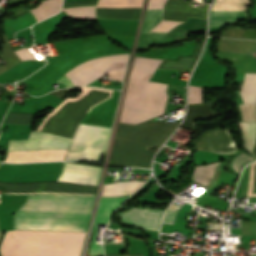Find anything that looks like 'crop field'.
<instances>
[{
	"label": "crop field",
	"mask_w": 256,
	"mask_h": 256,
	"mask_svg": "<svg viewBox=\"0 0 256 256\" xmlns=\"http://www.w3.org/2000/svg\"><path fill=\"white\" fill-rule=\"evenodd\" d=\"M94 197L29 195L14 216V229L86 231ZM86 232H7L1 256H79Z\"/></svg>",
	"instance_id": "obj_1"
},
{
	"label": "crop field",
	"mask_w": 256,
	"mask_h": 256,
	"mask_svg": "<svg viewBox=\"0 0 256 256\" xmlns=\"http://www.w3.org/2000/svg\"><path fill=\"white\" fill-rule=\"evenodd\" d=\"M161 61L136 57L119 122L137 124L163 114L168 85L148 81Z\"/></svg>",
	"instance_id": "obj_2"
},
{
	"label": "crop field",
	"mask_w": 256,
	"mask_h": 256,
	"mask_svg": "<svg viewBox=\"0 0 256 256\" xmlns=\"http://www.w3.org/2000/svg\"><path fill=\"white\" fill-rule=\"evenodd\" d=\"M128 54L110 55L78 65L66 76L74 85L84 86L93 79L109 74V78L122 81L127 66Z\"/></svg>",
	"instance_id": "obj_3"
},
{
	"label": "crop field",
	"mask_w": 256,
	"mask_h": 256,
	"mask_svg": "<svg viewBox=\"0 0 256 256\" xmlns=\"http://www.w3.org/2000/svg\"><path fill=\"white\" fill-rule=\"evenodd\" d=\"M109 129L80 125L67 159L96 160L102 151Z\"/></svg>",
	"instance_id": "obj_4"
},
{
	"label": "crop field",
	"mask_w": 256,
	"mask_h": 256,
	"mask_svg": "<svg viewBox=\"0 0 256 256\" xmlns=\"http://www.w3.org/2000/svg\"><path fill=\"white\" fill-rule=\"evenodd\" d=\"M163 9L147 10L137 50L154 44H163L186 38L187 30H171L168 33H148L162 20Z\"/></svg>",
	"instance_id": "obj_5"
},
{
	"label": "crop field",
	"mask_w": 256,
	"mask_h": 256,
	"mask_svg": "<svg viewBox=\"0 0 256 256\" xmlns=\"http://www.w3.org/2000/svg\"><path fill=\"white\" fill-rule=\"evenodd\" d=\"M72 140L44 132L32 131L28 140H10L9 150L32 151L68 148Z\"/></svg>",
	"instance_id": "obj_6"
},
{
	"label": "crop field",
	"mask_w": 256,
	"mask_h": 256,
	"mask_svg": "<svg viewBox=\"0 0 256 256\" xmlns=\"http://www.w3.org/2000/svg\"><path fill=\"white\" fill-rule=\"evenodd\" d=\"M126 198L122 197H100L95 219V234L92 242V256L103 255L102 245L96 244L97 224H107L112 212L121 207Z\"/></svg>",
	"instance_id": "obj_7"
},
{
	"label": "crop field",
	"mask_w": 256,
	"mask_h": 256,
	"mask_svg": "<svg viewBox=\"0 0 256 256\" xmlns=\"http://www.w3.org/2000/svg\"><path fill=\"white\" fill-rule=\"evenodd\" d=\"M164 211L161 210H153V209H145V208H133L132 210L126 213L139 214L145 216H152L161 218ZM126 213H119L118 215L123 220L124 224L132 225L144 229L150 230H159L161 219L145 217L139 215H132Z\"/></svg>",
	"instance_id": "obj_8"
},
{
	"label": "crop field",
	"mask_w": 256,
	"mask_h": 256,
	"mask_svg": "<svg viewBox=\"0 0 256 256\" xmlns=\"http://www.w3.org/2000/svg\"><path fill=\"white\" fill-rule=\"evenodd\" d=\"M101 168L66 163L59 181L97 185Z\"/></svg>",
	"instance_id": "obj_9"
},
{
	"label": "crop field",
	"mask_w": 256,
	"mask_h": 256,
	"mask_svg": "<svg viewBox=\"0 0 256 256\" xmlns=\"http://www.w3.org/2000/svg\"><path fill=\"white\" fill-rule=\"evenodd\" d=\"M245 12L211 11L210 27H221L225 24H235L237 20H246Z\"/></svg>",
	"instance_id": "obj_10"
},
{
	"label": "crop field",
	"mask_w": 256,
	"mask_h": 256,
	"mask_svg": "<svg viewBox=\"0 0 256 256\" xmlns=\"http://www.w3.org/2000/svg\"><path fill=\"white\" fill-rule=\"evenodd\" d=\"M142 183L141 181H132L104 185L101 196H118L132 193Z\"/></svg>",
	"instance_id": "obj_11"
},
{
	"label": "crop field",
	"mask_w": 256,
	"mask_h": 256,
	"mask_svg": "<svg viewBox=\"0 0 256 256\" xmlns=\"http://www.w3.org/2000/svg\"><path fill=\"white\" fill-rule=\"evenodd\" d=\"M239 92L245 103H256V74L245 73V79Z\"/></svg>",
	"instance_id": "obj_12"
},
{
	"label": "crop field",
	"mask_w": 256,
	"mask_h": 256,
	"mask_svg": "<svg viewBox=\"0 0 256 256\" xmlns=\"http://www.w3.org/2000/svg\"><path fill=\"white\" fill-rule=\"evenodd\" d=\"M218 164L219 162L209 165L195 166L192 180L208 187Z\"/></svg>",
	"instance_id": "obj_13"
},
{
	"label": "crop field",
	"mask_w": 256,
	"mask_h": 256,
	"mask_svg": "<svg viewBox=\"0 0 256 256\" xmlns=\"http://www.w3.org/2000/svg\"><path fill=\"white\" fill-rule=\"evenodd\" d=\"M62 0H48L41 6L31 10L38 21L50 17L59 12L61 9ZM36 19V20H37Z\"/></svg>",
	"instance_id": "obj_14"
},
{
	"label": "crop field",
	"mask_w": 256,
	"mask_h": 256,
	"mask_svg": "<svg viewBox=\"0 0 256 256\" xmlns=\"http://www.w3.org/2000/svg\"><path fill=\"white\" fill-rule=\"evenodd\" d=\"M239 125L243 147L245 150L252 152L253 144L256 137V123L239 122Z\"/></svg>",
	"instance_id": "obj_15"
},
{
	"label": "crop field",
	"mask_w": 256,
	"mask_h": 256,
	"mask_svg": "<svg viewBox=\"0 0 256 256\" xmlns=\"http://www.w3.org/2000/svg\"><path fill=\"white\" fill-rule=\"evenodd\" d=\"M142 0H100L97 7L108 8H138Z\"/></svg>",
	"instance_id": "obj_16"
},
{
	"label": "crop field",
	"mask_w": 256,
	"mask_h": 256,
	"mask_svg": "<svg viewBox=\"0 0 256 256\" xmlns=\"http://www.w3.org/2000/svg\"><path fill=\"white\" fill-rule=\"evenodd\" d=\"M243 121H256V104H239Z\"/></svg>",
	"instance_id": "obj_17"
},
{
	"label": "crop field",
	"mask_w": 256,
	"mask_h": 256,
	"mask_svg": "<svg viewBox=\"0 0 256 256\" xmlns=\"http://www.w3.org/2000/svg\"><path fill=\"white\" fill-rule=\"evenodd\" d=\"M180 23H182V22L162 20L150 32H168L170 29L174 28L175 26H177Z\"/></svg>",
	"instance_id": "obj_18"
},
{
	"label": "crop field",
	"mask_w": 256,
	"mask_h": 256,
	"mask_svg": "<svg viewBox=\"0 0 256 256\" xmlns=\"http://www.w3.org/2000/svg\"><path fill=\"white\" fill-rule=\"evenodd\" d=\"M241 235H256V222L241 220Z\"/></svg>",
	"instance_id": "obj_19"
},
{
	"label": "crop field",
	"mask_w": 256,
	"mask_h": 256,
	"mask_svg": "<svg viewBox=\"0 0 256 256\" xmlns=\"http://www.w3.org/2000/svg\"><path fill=\"white\" fill-rule=\"evenodd\" d=\"M190 103H201V87L189 86Z\"/></svg>",
	"instance_id": "obj_20"
},
{
	"label": "crop field",
	"mask_w": 256,
	"mask_h": 256,
	"mask_svg": "<svg viewBox=\"0 0 256 256\" xmlns=\"http://www.w3.org/2000/svg\"><path fill=\"white\" fill-rule=\"evenodd\" d=\"M15 53L20 57L22 61L37 60L35 55L27 47L15 51Z\"/></svg>",
	"instance_id": "obj_21"
},
{
	"label": "crop field",
	"mask_w": 256,
	"mask_h": 256,
	"mask_svg": "<svg viewBox=\"0 0 256 256\" xmlns=\"http://www.w3.org/2000/svg\"><path fill=\"white\" fill-rule=\"evenodd\" d=\"M178 209H179V206L171 204L164 216L163 223L172 224L174 220V216L178 211Z\"/></svg>",
	"instance_id": "obj_22"
},
{
	"label": "crop field",
	"mask_w": 256,
	"mask_h": 256,
	"mask_svg": "<svg viewBox=\"0 0 256 256\" xmlns=\"http://www.w3.org/2000/svg\"><path fill=\"white\" fill-rule=\"evenodd\" d=\"M250 160H253V159L241 154L240 156L235 158V160L232 164V167L235 169L236 172H239L240 167Z\"/></svg>",
	"instance_id": "obj_23"
},
{
	"label": "crop field",
	"mask_w": 256,
	"mask_h": 256,
	"mask_svg": "<svg viewBox=\"0 0 256 256\" xmlns=\"http://www.w3.org/2000/svg\"><path fill=\"white\" fill-rule=\"evenodd\" d=\"M165 0H150L147 9L163 8Z\"/></svg>",
	"instance_id": "obj_24"
},
{
	"label": "crop field",
	"mask_w": 256,
	"mask_h": 256,
	"mask_svg": "<svg viewBox=\"0 0 256 256\" xmlns=\"http://www.w3.org/2000/svg\"><path fill=\"white\" fill-rule=\"evenodd\" d=\"M106 256H143V254H139V255H106Z\"/></svg>",
	"instance_id": "obj_25"
},
{
	"label": "crop field",
	"mask_w": 256,
	"mask_h": 256,
	"mask_svg": "<svg viewBox=\"0 0 256 256\" xmlns=\"http://www.w3.org/2000/svg\"><path fill=\"white\" fill-rule=\"evenodd\" d=\"M0 236H1V233H0Z\"/></svg>",
	"instance_id": "obj_26"
}]
</instances>
